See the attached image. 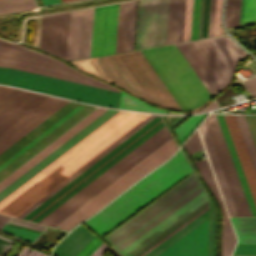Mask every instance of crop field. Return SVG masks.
<instances>
[{"mask_svg":"<svg viewBox=\"0 0 256 256\" xmlns=\"http://www.w3.org/2000/svg\"><path fill=\"white\" fill-rule=\"evenodd\" d=\"M212 142L214 144L218 159L220 161L224 176L231 192L235 207L239 216H248L244 207L240 192L238 190L234 175L232 173L228 158L226 156L222 141L220 139L213 116L209 115L205 120Z\"/></svg>","mask_w":256,"mask_h":256,"instance_id":"obj_18","label":"crop field"},{"mask_svg":"<svg viewBox=\"0 0 256 256\" xmlns=\"http://www.w3.org/2000/svg\"><path fill=\"white\" fill-rule=\"evenodd\" d=\"M137 1L119 4L114 53L132 49Z\"/></svg>","mask_w":256,"mask_h":256,"instance_id":"obj_19","label":"crop field"},{"mask_svg":"<svg viewBox=\"0 0 256 256\" xmlns=\"http://www.w3.org/2000/svg\"><path fill=\"white\" fill-rule=\"evenodd\" d=\"M35 8L32 0H0V14Z\"/></svg>","mask_w":256,"mask_h":256,"instance_id":"obj_35","label":"crop field"},{"mask_svg":"<svg viewBox=\"0 0 256 256\" xmlns=\"http://www.w3.org/2000/svg\"><path fill=\"white\" fill-rule=\"evenodd\" d=\"M183 146L187 150L189 155L195 150L202 149L203 147L201 145L198 132L195 131Z\"/></svg>","mask_w":256,"mask_h":256,"instance_id":"obj_42","label":"crop field"},{"mask_svg":"<svg viewBox=\"0 0 256 256\" xmlns=\"http://www.w3.org/2000/svg\"><path fill=\"white\" fill-rule=\"evenodd\" d=\"M238 243H256V218H230Z\"/></svg>","mask_w":256,"mask_h":256,"instance_id":"obj_28","label":"crop field"},{"mask_svg":"<svg viewBox=\"0 0 256 256\" xmlns=\"http://www.w3.org/2000/svg\"><path fill=\"white\" fill-rule=\"evenodd\" d=\"M250 81L253 83V85L256 87V77L250 79Z\"/></svg>","mask_w":256,"mask_h":256,"instance_id":"obj_60","label":"crop field"},{"mask_svg":"<svg viewBox=\"0 0 256 256\" xmlns=\"http://www.w3.org/2000/svg\"><path fill=\"white\" fill-rule=\"evenodd\" d=\"M66 102H68V101L60 99L55 104H53L51 107H49L47 110H45L43 113H41L39 116H37L35 119H33L30 123H28L22 129H20L14 135H12L10 138H8L6 141H4L2 144H0V153L3 152L5 149H7L14 142H16L18 139H20L23 135H25L31 129H33L36 125H38L40 122H42L45 118H47L49 115H51L53 112H55L58 108H60Z\"/></svg>","mask_w":256,"mask_h":256,"instance_id":"obj_26","label":"crop field"},{"mask_svg":"<svg viewBox=\"0 0 256 256\" xmlns=\"http://www.w3.org/2000/svg\"><path fill=\"white\" fill-rule=\"evenodd\" d=\"M158 256H207V220Z\"/></svg>","mask_w":256,"mask_h":256,"instance_id":"obj_16","label":"crop field"},{"mask_svg":"<svg viewBox=\"0 0 256 256\" xmlns=\"http://www.w3.org/2000/svg\"><path fill=\"white\" fill-rule=\"evenodd\" d=\"M210 0H201L198 39L207 37Z\"/></svg>","mask_w":256,"mask_h":256,"instance_id":"obj_38","label":"crop field"},{"mask_svg":"<svg viewBox=\"0 0 256 256\" xmlns=\"http://www.w3.org/2000/svg\"><path fill=\"white\" fill-rule=\"evenodd\" d=\"M163 126L161 116H157L23 219L37 222ZM170 138L164 126L38 223L54 227Z\"/></svg>","mask_w":256,"mask_h":256,"instance_id":"obj_2","label":"crop field"},{"mask_svg":"<svg viewBox=\"0 0 256 256\" xmlns=\"http://www.w3.org/2000/svg\"><path fill=\"white\" fill-rule=\"evenodd\" d=\"M94 106L69 101L0 154V179L91 111Z\"/></svg>","mask_w":256,"mask_h":256,"instance_id":"obj_7","label":"crop field"},{"mask_svg":"<svg viewBox=\"0 0 256 256\" xmlns=\"http://www.w3.org/2000/svg\"><path fill=\"white\" fill-rule=\"evenodd\" d=\"M242 84H243V85L245 86V88L251 93V95H252L253 97H256V89H255V87L250 83L249 80L243 82Z\"/></svg>","mask_w":256,"mask_h":256,"instance_id":"obj_51","label":"crop field"},{"mask_svg":"<svg viewBox=\"0 0 256 256\" xmlns=\"http://www.w3.org/2000/svg\"><path fill=\"white\" fill-rule=\"evenodd\" d=\"M216 116H217L218 122H219V124H220V127H221V130H222L224 139H225V141H226V144H227V147H228L230 156H231V158H232V161H233V164H234L236 173H237V175H238V178H239V181H240L242 190H243V192H244V195H245L247 204H248V206H249L251 215H252V216H256V209H255L256 206L254 207V204H253V201H252L250 192H249V190H248V187H247V184H246L244 175H243V173H242V170H241V167H240L238 158H237V156H236V153H235V150H234L232 141H231V139H230V136H229V133H228L226 124H225V122H224L223 116H222V115H216Z\"/></svg>","mask_w":256,"mask_h":256,"instance_id":"obj_24","label":"crop field"},{"mask_svg":"<svg viewBox=\"0 0 256 256\" xmlns=\"http://www.w3.org/2000/svg\"><path fill=\"white\" fill-rule=\"evenodd\" d=\"M57 100H59V99L53 98V97L48 98L46 101H44L42 104H40L34 110H32L30 113L25 115L23 118H21L15 124H13L7 130H5L3 133H1L0 134V143H2L8 137H10L12 134H14L16 131H18L20 128H22L24 125H26L29 121H31L33 118H35L41 112H43L45 109H47L53 103H55Z\"/></svg>","mask_w":256,"mask_h":256,"instance_id":"obj_29","label":"crop field"},{"mask_svg":"<svg viewBox=\"0 0 256 256\" xmlns=\"http://www.w3.org/2000/svg\"><path fill=\"white\" fill-rule=\"evenodd\" d=\"M101 242L102 241L95 236L76 256H89Z\"/></svg>","mask_w":256,"mask_h":256,"instance_id":"obj_45","label":"crop field"},{"mask_svg":"<svg viewBox=\"0 0 256 256\" xmlns=\"http://www.w3.org/2000/svg\"><path fill=\"white\" fill-rule=\"evenodd\" d=\"M108 248L109 247L102 242L90 256H102L108 250Z\"/></svg>","mask_w":256,"mask_h":256,"instance_id":"obj_49","label":"crop field"},{"mask_svg":"<svg viewBox=\"0 0 256 256\" xmlns=\"http://www.w3.org/2000/svg\"><path fill=\"white\" fill-rule=\"evenodd\" d=\"M193 0H186L183 41L189 40Z\"/></svg>","mask_w":256,"mask_h":256,"instance_id":"obj_40","label":"crop field"},{"mask_svg":"<svg viewBox=\"0 0 256 256\" xmlns=\"http://www.w3.org/2000/svg\"><path fill=\"white\" fill-rule=\"evenodd\" d=\"M94 8L70 12L66 59L89 57Z\"/></svg>","mask_w":256,"mask_h":256,"instance_id":"obj_11","label":"crop field"},{"mask_svg":"<svg viewBox=\"0 0 256 256\" xmlns=\"http://www.w3.org/2000/svg\"><path fill=\"white\" fill-rule=\"evenodd\" d=\"M147 116L149 115L119 111L1 200L0 213L16 217ZM154 117L156 116L147 117L17 217L25 216Z\"/></svg>","mask_w":256,"mask_h":256,"instance_id":"obj_1","label":"crop field"},{"mask_svg":"<svg viewBox=\"0 0 256 256\" xmlns=\"http://www.w3.org/2000/svg\"><path fill=\"white\" fill-rule=\"evenodd\" d=\"M256 206V175L234 115H223Z\"/></svg>","mask_w":256,"mask_h":256,"instance_id":"obj_20","label":"crop field"},{"mask_svg":"<svg viewBox=\"0 0 256 256\" xmlns=\"http://www.w3.org/2000/svg\"><path fill=\"white\" fill-rule=\"evenodd\" d=\"M176 148L177 145L171 138L55 227L71 229L72 226L95 213L148 171L157 167L172 155Z\"/></svg>","mask_w":256,"mask_h":256,"instance_id":"obj_10","label":"crop field"},{"mask_svg":"<svg viewBox=\"0 0 256 256\" xmlns=\"http://www.w3.org/2000/svg\"><path fill=\"white\" fill-rule=\"evenodd\" d=\"M190 172L192 171L179 150L165 164L84 223L102 237Z\"/></svg>","mask_w":256,"mask_h":256,"instance_id":"obj_5","label":"crop field"},{"mask_svg":"<svg viewBox=\"0 0 256 256\" xmlns=\"http://www.w3.org/2000/svg\"><path fill=\"white\" fill-rule=\"evenodd\" d=\"M205 115L206 114L192 116L184 123H182L180 126H178L176 129H174L181 143Z\"/></svg>","mask_w":256,"mask_h":256,"instance_id":"obj_37","label":"crop field"},{"mask_svg":"<svg viewBox=\"0 0 256 256\" xmlns=\"http://www.w3.org/2000/svg\"><path fill=\"white\" fill-rule=\"evenodd\" d=\"M205 219H207V210H205L203 213H201L199 216L194 218L192 221H190L188 224L183 226L181 229H179L177 232L172 234L170 237L165 239L163 242H161L159 245L154 247L152 250H150L148 253H146L143 256H156L159 253H161L163 250H165L167 247H169L171 244H173L175 241L180 239L182 236H184L186 233H188L190 230L195 228L197 225H199L201 222H203ZM206 221V220H205Z\"/></svg>","mask_w":256,"mask_h":256,"instance_id":"obj_27","label":"crop field"},{"mask_svg":"<svg viewBox=\"0 0 256 256\" xmlns=\"http://www.w3.org/2000/svg\"><path fill=\"white\" fill-rule=\"evenodd\" d=\"M28 256H47L32 249Z\"/></svg>","mask_w":256,"mask_h":256,"instance_id":"obj_57","label":"crop field"},{"mask_svg":"<svg viewBox=\"0 0 256 256\" xmlns=\"http://www.w3.org/2000/svg\"><path fill=\"white\" fill-rule=\"evenodd\" d=\"M115 256H121L117 251H115L112 247L109 249Z\"/></svg>","mask_w":256,"mask_h":256,"instance_id":"obj_59","label":"crop field"},{"mask_svg":"<svg viewBox=\"0 0 256 256\" xmlns=\"http://www.w3.org/2000/svg\"><path fill=\"white\" fill-rule=\"evenodd\" d=\"M29 251H30V248L24 246V248L22 249V251L20 252V254L18 256H26Z\"/></svg>","mask_w":256,"mask_h":256,"instance_id":"obj_56","label":"crop field"},{"mask_svg":"<svg viewBox=\"0 0 256 256\" xmlns=\"http://www.w3.org/2000/svg\"><path fill=\"white\" fill-rule=\"evenodd\" d=\"M48 96L24 91L0 108V133L34 109Z\"/></svg>","mask_w":256,"mask_h":256,"instance_id":"obj_17","label":"crop field"},{"mask_svg":"<svg viewBox=\"0 0 256 256\" xmlns=\"http://www.w3.org/2000/svg\"><path fill=\"white\" fill-rule=\"evenodd\" d=\"M256 23V0H241L239 26Z\"/></svg>","mask_w":256,"mask_h":256,"instance_id":"obj_34","label":"crop field"},{"mask_svg":"<svg viewBox=\"0 0 256 256\" xmlns=\"http://www.w3.org/2000/svg\"><path fill=\"white\" fill-rule=\"evenodd\" d=\"M9 219H10V217H6V216L0 215V227H1L3 224H5Z\"/></svg>","mask_w":256,"mask_h":256,"instance_id":"obj_55","label":"crop field"},{"mask_svg":"<svg viewBox=\"0 0 256 256\" xmlns=\"http://www.w3.org/2000/svg\"><path fill=\"white\" fill-rule=\"evenodd\" d=\"M215 94L230 80L236 61L248 55L229 36L181 43Z\"/></svg>","mask_w":256,"mask_h":256,"instance_id":"obj_8","label":"crop field"},{"mask_svg":"<svg viewBox=\"0 0 256 256\" xmlns=\"http://www.w3.org/2000/svg\"><path fill=\"white\" fill-rule=\"evenodd\" d=\"M118 86L158 105L180 110L140 51L99 57Z\"/></svg>","mask_w":256,"mask_h":256,"instance_id":"obj_6","label":"crop field"},{"mask_svg":"<svg viewBox=\"0 0 256 256\" xmlns=\"http://www.w3.org/2000/svg\"><path fill=\"white\" fill-rule=\"evenodd\" d=\"M199 131L207 152V155L209 157L210 163L212 165L214 174L216 176L217 182L219 184L222 196L224 198L227 210L229 212L230 216H238L236 209L234 207L231 195L229 193L225 178L223 176L219 161L217 159L214 147L212 145L208 130L206 128L205 122H203L200 127H199Z\"/></svg>","mask_w":256,"mask_h":256,"instance_id":"obj_22","label":"crop field"},{"mask_svg":"<svg viewBox=\"0 0 256 256\" xmlns=\"http://www.w3.org/2000/svg\"><path fill=\"white\" fill-rule=\"evenodd\" d=\"M117 8L118 4L95 8L90 57L113 53Z\"/></svg>","mask_w":256,"mask_h":256,"instance_id":"obj_12","label":"crop field"},{"mask_svg":"<svg viewBox=\"0 0 256 256\" xmlns=\"http://www.w3.org/2000/svg\"><path fill=\"white\" fill-rule=\"evenodd\" d=\"M0 44L19 46V45L11 44V43H9V42H7V41H4V40H0Z\"/></svg>","mask_w":256,"mask_h":256,"instance_id":"obj_58","label":"crop field"},{"mask_svg":"<svg viewBox=\"0 0 256 256\" xmlns=\"http://www.w3.org/2000/svg\"><path fill=\"white\" fill-rule=\"evenodd\" d=\"M95 235L80 225L54 251L60 256H75Z\"/></svg>","mask_w":256,"mask_h":256,"instance_id":"obj_23","label":"crop field"},{"mask_svg":"<svg viewBox=\"0 0 256 256\" xmlns=\"http://www.w3.org/2000/svg\"><path fill=\"white\" fill-rule=\"evenodd\" d=\"M205 206H207V201H205L203 204H201L200 206H198L196 209H194L193 211H191L189 214H187L186 216H184L182 219H180L179 221H177L175 224H173L172 226H170L168 229H166L164 232H162L161 234H159L157 237H155L154 239H152L150 242H148L147 244H145L143 247H141L140 249H138L136 252H134L133 254H131L130 256H138L140 253H142L143 251H145L147 248H149L150 246H152L154 243H156L158 240H160L161 238H163L165 235H167L169 232H171L172 230H174L176 227H178L179 225H181L183 222H185L187 219H189L190 217H192L194 214H196L197 212H199L201 209H203Z\"/></svg>","mask_w":256,"mask_h":256,"instance_id":"obj_33","label":"crop field"},{"mask_svg":"<svg viewBox=\"0 0 256 256\" xmlns=\"http://www.w3.org/2000/svg\"><path fill=\"white\" fill-rule=\"evenodd\" d=\"M205 209H207V207H205L203 210H201L199 213H197L196 215H194L192 218H190L189 220H187L185 223H183L181 226H179L178 228H176L174 231H172L170 234H168L167 236H165L163 239H161L160 241H158L156 244H154L152 247H150L149 249H147L145 252H143L142 254H140L139 256H142L143 254H145L146 252H148L150 249H152L154 246H156L157 244H159L161 241H163L165 238H167L168 236H170L172 233H174L175 231H177L179 228H181L183 225H185L186 223H188L190 220H192L194 217H196L197 215H199L201 212H203Z\"/></svg>","mask_w":256,"mask_h":256,"instance_id":"obj_48","label":"crop field"},{"mask_svg":"<svg viewBox=\"0 0 256 256\" xmlns=\"http://www.w3.org/2000/svg\"><path fill=\"white\" fill-rule=\"evenodd\" d=\"M169 0H142L135 49L165 44ZM177 0L169 1L166 44L173 43ZM185 0H178L174 43L182 41Z\"/></svg>","mask_w":256,"mask_h":256,"instance_id":"obj_9","label":"crop field"},{"mask_svg":"<svg viewBox=\"0 0 256 256\" xmlns=\"http://www.w3.org/2000/svg\"><path fill=\"white\" fill-rule=\"evenodd\" d=\"M207 198L193 173L103 239L129 256Z\"/></svg>","mask_w":256,"mask_h":256,"instance_id":"obj_4","label":"crop field"},{"mask_svg":"<svg viewBox=\"0 0 256 256\" xmlns=\"http://www.w3.org/2000/svg\"><path fill=\"white\" fill-rule=\"evenodd\" d=\"M105 110L107 109L101 108V107H98L97 109H95L85 118H83L81 121L75 124L72 128H70L68 131H66L64 134H62L60 137H58L56 140L50 143L47 147H45L43 150H41L39 153H37L35 156H33L23 165H21L18 169H16L14 172H12L6 178L0 181V191L3 188H5L7 185H9L11 182H13L15 179H17L19 176H21L23 173H25L27 170H29L32 166H34L40 160H42L45 156H47L53 150H55L58 146H60L62 143L68 140L71 136H73L75 133L81 130L84 126H86L88 123L94 120L97 116H99Z\"/></svg>","mask_w":256,"mask_h":256,"instance_id":"obj_15","label":"crop field"},{"mask_svg":"<svg viewBox=\"0 0 256 256\" xmlns=\"http://www.w3.org/2000/svg\"><path fill=\"white\" fill-rule=\"evenodd\" d=\"M69 12L43 17L40 48L65 59ZM40 49V50H41Z\"/></svg>","mask_w":256,"mask_h":256,"instance_id":"obj_13","label":"crop field"},{"mask_svg":"<svg viewBox=\"0 0 256 256\" xmlns=\"http://www.w3.org/2000/svg\"><path fill=\"white\" fill-rule=\"evenodd\" d=\"M116 112L118 111L108 109L99 117H97L94 121H92L90 124L84 127L81 131H79L77 134L71 137L68 141H66L64 144L58 147L55 151H53L51 154L45 157L42 161H40L38 164L32 167L29 171H27L25 174H23L13 183L7 186L5 189H3L0 192V200L7 196L9 193H11L13 190H15L17 187H19L22 183H24L26 180H28L42 168H44L46 165H48L50 162H52L55 158H57L59 155H61L63 152H65L67 149H69L71 146L77 143L79 140H81L83 137H85L88 133H90L92 130H94L96 127H98L108 118H110Z\"/></svg>","mask_w":256,"mask_h":256,"instance_id":"obj_14","label":"crop field"},{"mask_svg":"<svg viewBox=\"0 0 256 256\" xmlns=\"http://www.w3.org/2000/svg\"><path fill=\"white\" fill-rule=\"evenodd\" d=\"M0 66L24 70L112 91H120L119 89L91 78L50 56L33 50L0 46ZM1 67L0 83L106 107H117L119 98V93L117 92Z\"/></svg>","mask_w":256,"mask_h":256,"instance_id":"obj_3","label":"crop field"},{"mask_svg":"<svg viewBox=\"0 0 256 256\" xmlns=\"http://www.w3.org/2000/svg\"><path fill=\"white\" fill-rule=\"evenodd\" d=\"M246 119H247L253 139L256 144V116H246Z\"/></svg>","mask_w":256,"mask_h":256,"instance_id":"obj_47","label":"crop field"},{"mask_svg":"<svg viewBox=\"0 0 256 256\" xmlns=\"http://www.w3.org/2000/svg\"><path fill=\"white\" fill-rule=\"evenodd\" d=\"M213 116H214L215 122H216V124H217V127H218V130H219V133H220L221 139H222V141H223V144H224V147H225V150H226L227 156H228V158H229V161H230V164H231V167H232L233 173H234V175H235V178H236V181H237V184H238L239 190H240V192H241V195H242V198H243V201H244L245 207H246V209H247L248 215H249V216H251V215H250V212H249V209H248V207H249V206L247 207V204H246V201H245V198H244L243 192H242V190H241V187H240V184H239V181H238L237 175H236V173H235V170H234V167H233V164H232L231 158H230V156H229V153H228V150H227V147H226L225 141H224V139H223V136H222V133H221V130H220L219 124H218V122H217L216 116H215V115H213Z\"/></svg>","mask_w":256,"mask_h":256,"instance_id":"obj_46","label":"crop field"},{"mask_svg":"<svg viewBox=\"0 0 256 256\" xmlns=\"http://www.w3.org/2000/svg\"><path fill=\"white\" fill-rule=\"evenodd\" d=\"M222 2L223 0H211L208 37L225 34L221 25Z\"/></svg>","mask_w":256,"mask_h":256,"instance_id":"obj_30","label":"crop field"},{"mask_svg":"<svg viewBox=\"0 0 256 256\" xmlns=\"http://www.w3.org/2000/svg\"><path fill=\"white\" fill-rule=\"evenodd\" d=\"M240 0H227L225 25L226 27H236L239 21Z\"/></svg>","mask_w":256,"mask_h":256,"instance_id":"obj_36","label":"crop field"},{"mask_svg":"<svg viewBox=\"0 0 256 256\" xmlns=\"http://www.w3.org/2000/svg\"><path fill=\"white\" fill-rule=\"evenodd\" d=\"M11 87H1L0 86V96L3 95L5 92H7ZM22 90L14 89L12 88L7 93H5L3 96L0 97V107H2L4 104H6L8 101H10L12 98L20 94Z\"/></svg>","mask_w":256,"mask_h":256,"instance_id":"obj_43","label":"crop field"},{"mask_svg":"<svg viewBox=\"0 0 256 256\" xmlns=\"http://www.w3.org/2000/svg\"><path fill=\"white\" fill-rule=\"evenodd\" d=\"M10 244V241H8V240H5V239H3V238H0V253L2 254L4 251H5V249L8 247V245ZM11 244H12V242H11ZM11 244L9 245V247L6 249V251L4 252V254L7 252V250L10 248V246H11ZM0 254V256H3V255H1Z\"/></svg>","mask_w":256,"mask_h":256,"instance_id":"obj_50","label":"crop field"},{"mask_svg":"<svg viewBox=\"0 0 256 256\" xmlns=\"http://www.w3.org/2000/svg\"><path fill=\"white\" fill-rule=\"evenodd\" d=\"M194 164L197 167L200 174L202 175L209 189L213 193L214 197L216 198L222 210V216H223L222 256H230L231 251L236 243V239L233 234L232 228L230 226L229 220L227 218L225 209L223 207L208 161L207 160L196 161L194 162Z\"/></svg>","mask_w":256,"mask_h":256,"instance_id":"obj_21","label":"crop field"},{"mask_svg":"<svg viewBox=\"0 0 256 256\" xmlns=\"http://www.w3.org/2000/svg\"><path fill=\"white\" fill-rule=\"evenodd\" d=\"M185 117L187 116H183V117H167V120L171 126V128L173 126H175L177 123H179L181 120H183Z\"/></svg>","mask_w":256,"mask_h":256,"instance_id":"obj_52","label":"crop field"},{"mask_svg":"<svg viewBox=\"0 0 256 256\" xmlns=\"http://www.w3.org/2000/svg\"><path fill=\"white\" fill-rule=\"evenodd\" d=\"M200 0H194L190 40L197 39Z\"/></svg>","mask_w":256,"mask_h":256,"instance_id":"obj_41","label":"crop field"},{"mask_svg":"<svg viewBox=\"0 0 256 256\" xmlns=\"http://www.w3.org/2000/svg\"><path fill=\"white\" fill-rule=\"evenodd\" d=\"M13 218H11L1 229L0 231L1 232H4L8 235H11L13 237H16L18 239H21L25 242H28L30 244H32L46 229L47 227L44 228V226H40V225H36V224H32V223H28V222H24V221H20V220H16L14 219L12 222H16V223H19V224H23V225H26V226H29V227H33V228H36V229H40L43 230L40 232V230H36V229H33V228H29V227H26V226H23V225H19V224H16V223H12L10 222ZM10 222L9 226H13V227H17V228H21V229H25V230H29V231H33V232H37V233H33V232H29V231H25V230H21V229H17V228H13V227H9L7 226L8 223Z\"/></svg>","mask_w":256,"mask_h":256,"instance_id":"obj_25","label":"crop field"},{"mask_svg":"<svg viewBox=\"0 0 256 256\" xmlns=\"http://www.w3.org/2000/svg\"><path fill=\"white\" fill-rule=\"evenodd\" d=\"M216 223L215 209L213 202L210 201V256H215Z\"/></svg>","mask_w":256,"mask_h":256,"instance_id":"obj_39","label":"crop field"},{"mask_svg":"<svg viewBox=\"0 0 256 256\" xmlns=\"http://www.w3.org/2000/svg\"><path fill=\"white\" fill-rule=\"evenodd\" d=\"M62 2L65 1H71V0H61ZM60 0H41L43 5L52 4V3H58L61 2Z\"/></svg>","mask_w":256,"mask_h":256,"instance_id":"obj_54","label":"crop field"},{"mask_svg":"<svg viewBox=\"0 0 256 256\" xmlns=\"http://www.w3.org/2000/svg\"><path fill=\"white\" fill-rule=\"evenodd\" d=\"M119 108L132 109V110L139 109L141 111H150V112H159V113L164 112V109L149 106L124 92H122V94H121Z\"/></svg>","mask_w":256,"mask_h":256,"instance_id":"obj_32","label":"crop field"},{"mask_svg":"<svg viewBox=\"0 0 256 256\" xmlns=\"http://www.w3.org/2000/svg\"><path fill=\"white\" fill-rule=\"evenodd\" d=\"M219 105L217 103L215 104H211V105H208L206 106L205 108L199 110V111H196V112H185V113H174V112H171L169 111V114H188V113H198V112H202V111H206V110H209V109H212V108H215V107H218Z\"/></svg>","mask_w":256,"mask_h":256,"instance_id":"obj_53","label":"crop field"},{"mask_svg":"<svg viewBox=\"0 0 256 256\" xmlns=\"http://www.w3.org/2000/svg\"><path fill=\"white\" fill-rule=\"evenodd\" d=\"M233 255H256V244H238Z\"/></svg>","mask_w":256,"mask_h":256,"instance_id":"obj_44","label":"crop field"},{"mask_svg":"<svg viewBox=\"0 0 256 256\" xmlns=\"http://www.w3.org/2000/svg\"><path fill=\"white\" fill-rule=\"evenodd\" d=\"M256 173V147L244 115H235Z\"/></svg>","mask_w":256,"mask_h":256,"instance_id":"obj_31","label":"crop field"}]
</instances>
